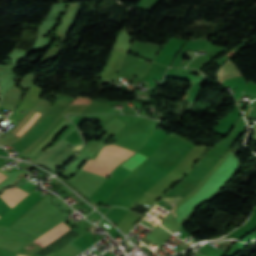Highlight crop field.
<instances>
[{"instance_id": "crop-field-1", "label": "crop field", "mask_w": 256, "mask_h": 256, "mask_svg": "<svg viewBox=\"0 0 256 256\" xmlns=\"http://www.w3.org/2000/svg\"><path fill=\"white\" fill-rule=\"evenodd\" d=\"M57 226H55L54 228H56ZM54 228H52L51 230H53ZM68 229H70V228L63 223L60 226H58L56 229H54L53 231H51V230H50L51 232L48 231L47 233H45L43 236H41L39 239H37L35 241L44 247L48 243H50L51 241L56 239L58 236H60L64 232H66Z\"/></svg>"}, {"instance_id": "crop-field-2", "label": "crop field", "mask_w": 256, "mask_h": 256, "mask_svg": "<svg viewBox=\"0 0 256 256\" xmlns=\"http://www.w3.org/2000/svg\"><path fill=\"white\" fill-rule=\"evenodd\" d=\"M240 72L236 67L230 62V60L225 64V66L220 70L218 76V82L223 83L225 80L240 77Z\"/></svg>"}, {"instance_id": "crop-field-3", "label": "crop field", "mask_w": 256, "mask_h": 256, "mask_svg": "<svg viewBox=\"0 0 256 256\" xmlns=\"http://www.w3.org/2000/svg\"><path fill=\"white\" fill-rule=\"evenodd\" d=\"M145 158H146L145 156L136 152L135 154H133L128 160H126L122 164L133 169L137 165H139L141 162H143L145 160Z\"/></svg>"}, {"instance_id": "crop-field-4", "label": "crop field", "mask_w": 256, "mask_h": 256, "mask_svg": "<svg viewBox=\"0 0 256 256\" xmlns=\"http://www.w3.org/2000/svg\"><path fill=\"white\" fill-rule=\"evenodd\" d=\"M36 114H37V113H36ZM36 114L34 115V117L36 116ZM40 115H41V114L38 113L35 118L33 117L34 119H33V118H32L33 120L31 119L32 122H31V120H30V121L27 123V125H28V124L31 122L28 126L26 125L27 128H26V126H25L20 132H22V131L26 128V129L22 132V133H24V132L31 126V124H32ZM20 132H18L17 135H18ZM22 133H20L19 136H20Z\"/></svg>"}, {"instance_id": "crop-field-5", "label": "crop field", "mask_w": 256, "mask_h": 256, "mask_svg": "<svg viewBox=\"0 0 256 256\" xmlns=\"http://www.w3.org/2000/svg\"><path fill=\"white\" fill-rule=\"evenodd\" d=\"M6 178H8V176H6V175L0 173V183H1L2 181H4Z\"/></svg>"}, {"instance_id": "crop-field-6", "label": "crop field", "mask_w": 256, "mask_h": 256, "mask_svg": "<svg viewBox=\"0 0 256 256\" xmlns=\"http://www.w3.org/2000/svg\"><path fill=\"white\" fill-rule=\"evenodd\" d=\"M5 201H6V203L12 208V206L8 203V201L3 197V196H1Z\"/></svg>"}, {"instance_id": "crop-field-7", "label": "crop field", "mask_w": 256, "mask_h": 256, "mask_svg": "<svg viewBox=\"0 0 256 256\" xmlns=\"http://www.w3.org/2000/svg\"><path fill=\"white\" fill-rule=\"evenodd\" d=\"M17 256H26V255H22V254H17Z\"/></svg>"}]
</instances>
